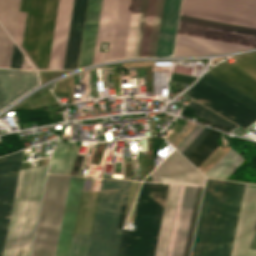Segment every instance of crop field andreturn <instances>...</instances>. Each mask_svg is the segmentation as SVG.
Here are the masks:
<instances>
[{"label":"crop field","mask_w":256,"mask_h":256,"mask_svg":"<svg viewBox=\"0 0 256 256\" xmlns=\"http://www.w3.org/2000/svg\"><path fill=\"white\" fill-rule=\"evenodd\" d=\"M23 153L0 158V256L3 255ZM46 167L20 172L4 256H29Z\"/></svg>","instance_id":"obj_1"},{"label":"crop field","mask_w":256,"mask_h":256,"mask_svg":"<svg viewBox=\"0 0 256 256\" xmlns=\"http://www.w3.org/2000/svg\"><path fill=\"white\" fill-rule=\"evenodd\" d=\"M256 47V29L181 15L175 57L220 54Z\"/></svg>","instance_id":"obj_2"},{"label":"crop field","mask_w":256,"mask_h":256,"mask_svg":"<svg viewBox=\"0 0 256 256\" xmlns=\"http://www.w3.org/2000/svg\"><path fill=\"white\" fill-rule=\"evenodd\" d=\"M130 184L103 179L87 256H116ZM130 233L122 229L117 256H126Z\"/></svg>","instance_id":"obj_3"},{"label":"crop field","mask_w":256,"mask_h":256,"mask_svg":"<svg viewBox=\"0 0 256 256\" xmlns=\"http://www.w3.org/2000/svg\"><path fill=\"white\" fill-rule=\"evenodd\" d=\"M70 177L48 175L32 256H54Z\"/></svg>","instance_id":"obj_4"},{"label":"crop field","mask_w":256,"mask_h":256,"mask_svg":"<svg viewBox=\"0 0 256 256\" xmlns=\"http://www.w3.org/2000/svg\"><path fill=\"white\" fill-rule=\"evenodd\" d=\"M100 5L89 0L79 66L92 63ZM86 6L87 0H74L63 69L77 68Z\"/></svg>","instance_id":"obj_5"},{"label":"crop field","mask_w":256,"mask_h":256,"mask_svg":"<svg viewBox=\"0 0 256 256\" xmlns=\"http://www.w3.org/2000/svg\"><path fill=\"white\" fill-rule=\"evenodd\" d=\"M181 14L256 28V0H183Z\"/></svg>","instance_id":"obj_6"},{"label":"crop field","mask_w":256,"mask_h":256,"mask_svg":"<svg viewBox=\"0 0 256 256\" xmlns=\"http://www.w3.org/2000/svg\"><path fill=\"white\" fill-rule=\"evenodd\" d=\"M169 185L159 184L145 256H155ZM179 185H170L156 256H165Z\"/></svg>","instance_id":"obj_7"},{"label":"crop field","mask_w":256,"mask_h":256,"mask_svg":"<svg viewBox=\"0 0 256 256\" xmlns=\"http://www.w3.org/2000/svg\"><path fill=\"white\" fill-rule=\"evenodd\" d=\"M184 188H185V186L181 185L167 256H171L174 237H175V231H176V226H177V221H178V216H179V211H180L182 197H183V193H184ZM196 189H197V187H191V186H186V188H185L181 216H180L179 223H178V228H177V233H176L172 256H183L184 255L185 244H186V239H187V234H188V229H189V224H190V219H191V214H192V209H193V204H194V199H195V194H196ZM201 190H202V187H198L184 256L189 255V250H190V245H191V240H192V235H193V230H194V225H195V220H196V215H197V210H198V204H199V199H200V195H201Z\"/></svg>","instance_id":"obj_8"},{"label":"crop field","mask_w":256,"mask_h":256,"mask_svg":"<svg viewBox=\"0 0 256 256\" xmlns=\"http://www.w3.org/2000/svg\"><path fill=\"white\" fill-rule=\"evenodd\" d=\"M184 94L213 109L243 128L256 120V113L202 81Z\"/></svg>","instance_id":"obj_9"},{"label":"crop field","mask_w":256,"mask_h":256,"mask_svg":"<svg viewBox=\"0 0 256 256\" xmlns=\"http://www.w3.org/2000/svg\"><path fill=\"white\" fill-rule=\"evenodd\" d=\"M235 61H223L212 67L208 73L256 100V52L232 57Z\"/></svg>","instance_id":"obj_10"},{"label":"crop field","mask_w":256,"mask_h":256,"mask_svg":"<svg viewBox=\"0 0 256 256\" xmlns=\"http://www.w3.org/2000/svg\"><path fill=\"white\" fill-rule=\"evenodd\" d=\"M158 184L143 182L138 198L127 256H143Z\"/></svg>","instance_id":"obj_11"},{"label":"crop field","mask_w":256,"mask_h":256,"mask_svg":"<svg viewBox=\"0 0 256 256\" xmlns=\"http://www.w3.org/2000/svg\"><path fill=\"white\" fill-rule=\"evenodd\" d=\"M164 0H143L134 57L155 56Z\"/></svg>","instance_id":"obj_12"},{"label":"crop field","mask_w":256,"mask_h":256,"mask_svg":"<svg viewBox=\"0 0 256 256\" xmlns=\"http://www.w3.org/2000/svg\"><path fill=\"white\" fill-rule=\"evenodd\" d=\"M233 182L218 180L203 256H218Z\"/></svg>","instance_id":"obj_13"},{"label":"crop field","mask_w":256,"mask_h":256,"mask_svg":"<svg viewBox=\"0 0 256 256\" xmlns=\"http://www.w3.org/2000/svg\"><path fill=\"white\" fill-rule=\"evenodd\" d=\"M156 182L203 185L204 177L176 151H173L155 170Z\"/></svg>","instance_id":"obj_14"},{"label":"crop field","mask_w":256,"mask_h":256,"mask_svg":"<svg viewBox=\"0 0 256 256\" xmlns=\"http://www.w3.org/2000/svg\"><path fill=\"white\" fill-rule=\"evenodd\" d=\"M83 180L77 177L70 179L55 256H69Z\"/></svg>","instance_id":"obj_15"},{"label":"crop field","mask_w":256,"mask_h":256,"mask_svg":"<svg viewBox=\"0 0 256 256\" xmlns=\"http://www.w3.org/2000/svg\"><path fill=\"white\" fill-rule=\"evenodd\" d=\"M72 3L59 0L48 69H62Z\"/></svg>","instance_id":"obj_16"},{"label":"crop field","mask_w":256,"mask_h":256,"mask_svg":"<svg viewBox=\"0 0 256 256\" xmlns=\"http://www.w3.org/2000/svg\"><path fill=\"white\" fill-rule=\"evenodd\" d=\"M35 85V72L0 69V108Z\"/></svg>","instance_id":"obj_17"},{"label":"crop field","mask_w":256,"mask_h":256,"mask_svg":"<svg viewBox=\"0 0 256 256\" xmlns=\"http://www.w3.org/2000/svg\"><path fill=\"white\" fill-rule=\"evenodd\" d=\"M181 0H165L156 56L172 54Z\"/></svg>","instance_id":"obj_18"},{"label":"crop field","mask_w":256,"mask_h":256,"mask_svg":"<svg viewBox=\"0 0 256 256\" xmlns=\"http://www.w3.org/2000/svg\"><path fill=\"white\" fill-rule=\"evenodd\" d=\"M133 0H118L109 60L124 58Z\"/></svg>","instance_id":"obj_19"},{"label":"crop field","mask_w":256,"mask_h":256,"mask_svg":"<svg viewBox=\"0 0 256 256\" xmlns=\"http://www.w3.org/2000/svg\"><path fill=\"white\" fill-rule=\"evenodd\" d=\"M217 180L207 179L191 256H202Z\"/></svg>","instance_id":"obj_20"},{"label":"crop field","mask_w":256,"mask_h":256,"mask_svg":"<svg viewBox=\"0 0 256 256\" xmlns=\"http://www.w3.org/2000/svg\"><path fill=\"white\" fill-rule=\"evenodd\" d=\"M244 184L236 183L233 184L221 249L219 256H230L242 191Z\"/></svg>","instance_id":"obj_21"},{"label":"crop field","mask_w":256,"mask_h":256,"mask_svg":"<svg viewBox=\"0 0 256 256\" xmlns=\"http://www.w3.org/2000/svg\"><path fill=\"white\" fill-rule=\"evenodd\" d=\"M255 185L245 184L231 256H240Z\"/></svg>","instance_id":"obj_22"},{"label":"crop field","mask_w":256,"mask_h":256,"mask_svg":"<svg viewBox=\"0 0 256 256\" xmlns=\"http://www.w3.org/2000/svg\"><path fill=\"white\" fill-rule=\"evenodd\" d=\"M243 161L241 156L229 149L204 175L226 179Z\"/></svg>","instance_id":"obj_23"},{"label":"crop field","mask_w":256,"mask_h":256,"mask_svg":"<svg viewBox=\"0 0 256 256\" xmlns=\"http://www.w3.org/2000/svg\"><path fill=\"white\" fill-rule=\"evenodd\" d=\"M117 0H103L97 40L111 42Z\"/></svg>","instance_id":"obj_24"},{"label":"crop field","mask_w":256,"mask_h":256,"mask_svg":"<svg viewBox=\"0 0 256 256\" xmlns=\"http://www.w3.org/2000/svg\"><path fill=\"white\" fill-rule=\"evenodd\" d=\"M200 80L206 82L207 84L211 85L212 87L218 89L219 91L223 92L224 94L230 96L231 98L237 100L238 102L242 103L243 105L249 107L250 109L256 112V101L251 99L250 97L246 96L245 94L239 92L238 90L232 88L231 86L227 85L226 83L220 81L219 79L215 78L210 74L204 75Z\"/></svg>","instance_id":"obj_25"},{"label":"crop field","mask_w":256,"mask_h":256,"mask_svg":"<svg viewBox=\"0 0 256 256\" xmlns=\"http://www.w3.org/2000/svg\"><path fill=\"white\" fill-rule=\"evenodd\" d=\"M20 0H0V22L15 37Z\"/></svg>","instance_id":"obj_26"},{"label":"crop field","mask_w":256,"mask_h":256,"mask_svg":"<svg viewBox=\"0 0 256 256\" xmlns=\"http://www.w3.org/2000/svg\"><path fill=\"white\" fill-rule=\"evenodd\" d=\"M219 136L220 132L212 130L186 158L197 167L219 146L216 141Z\"/></svg>","instance_id":"obj_27"},{"label":"crop field","mask_w":256,"mask_h":256,"mask_svg":"<svg viewBox=\"0 0 256 256\" xmlns=\"http://www.w3.org/2000/svg\"><path fill=\"white\" fill-rule=\"evenodd\" d=\"M242 256H256V187H255Z\"/></svg>","instance_id":"obj_28"},{"label":"crop field","mask_w":256,"mask_h":256,"mask_svg":"<svg viewBox=\"0 0 256 256\" xmlns=\"http://www.w3.org/2000/svg\"><path fill=\"white\" fill-rule=\"evenodd\" d=\"M189 108L194 110V115L208 120L218 126L226 127L232 130L236 125L193 100L190 102Z\"/></svg>","instance_id":"obj_29"},{"label":"crop field","mask_w":256,"mask_h":256,"mask_svg":"<svg viewBox=\"0 0 256 256\" xmlns=\"http://www.w3.org/2000/svg\"><path fill=\"white\" fill-rule=\"evenodd\" d=\"M142 0H134L125 58L133 57Z\"/></svg>","instance_id":"obj_30"},{"label":"crop field","mask_w":256,"mask_h":256,"mask_svg":"<svg viewBox=\"0 0 256 256\" xmlns=\"http://www.w3.org/2000/svg\"><path fill=\"white\" fill-rule=\"evenodd\" d=\"M14 42L0 25V67L10 68Z\"/></svg>","instance_id":"obj_31"},{"label":"crop field","mask_w":256,"mask_h":256,"mask_svg":"<svg viewBox=\"0 0 256 256\" xmlns=\"http://www.w3.org/2000/svg\"><path fill=\"white\" fill-rule=\"evenodd\" d=\"M70 144L71 143L58 142L55 148V151L52 155V158L50 160L49 170H48L49 173H55V174L60 173L61 167L65 159L61 157V154L62 152L67 153Z\"/></svg>","instance_id":"obj_32"},{"label":"crop field","mask_w":256,"mask_h":256,"mask_svg":"<svg viewBox=\"0 0 256 256\" xmlns=\"http://www.w3.org/2000/svg\"><path fill=\"white\" fill-rule=\"evenodd\" d=\"M74 143L71 144L68 155L66 157L65 163L63 165L62 171L60 174L68 175L71 169L73 160L79 148H73Z\"/></svg>","instance_id":"obj_33"},{"label":"crop field","mask_w":256,"mask_h":256,"mask_svg":"<svg viewBox=\"0 0 256 256\" xmlns=\"http://www.w3.org/2000/svg\"><path fill=\"white\" fill-rule=\"evenodd\" d=\"M210 131L211 129L204 128L181 153L186 157Z\"/></svg>","instance_id":"obj_34"},{"label":"crop field","mask_w":256,"mask_h":256,"mask_svg":"<svg viewBox=\"0 0 256 256\" xmlns=\"http://www.w3.org/2000/svg\"><path fill=\"white\" fill-rule=\"evenodd\" d=\"M203 128L198 125L176 149L181 152Z\"/></svg>","instance_id":"obj_35"},{"label":"crop field","mask_w":256,"mask_h":256,"mask_svg":"<svg viewBox=\"0 0 256 256\" xmlns=\"http://www.w3.org/2000/svg\"><path fill=\"white\" fill-rule=\"evenodd\" d=\"M110 44L111 43H109V46H108L107 60H108V57H109ZM99 46H100V42L96 41V47H95V54H94L93 64L97 63V62L104 61L105 52H99Z\"/></svg>","instance_id":"obj_36"},{"label":"crop field","mask_w":256,"mask_h":256,"mask_svg":"<svg viewBox=\"0 0 256 256\" xmlns=\"http://www.w3.org/2000/svg\"><path fill=\"white\" fill-rule=\"evenodd\" d=\"M83 156L84 155L77 154L76 159H75L74 164H73V167H72L71 172H70L69 175H76L77 174V172H78V170L81 166Z\"/></svg>","instance_id":"obj_37"},{"label":"crop field","mask_w":256,"mask_h":256,"mask_svg":"<svg viewBox=\"0 0 256 256\" xmlns=\"http://www.w3.org/2000/svg\"><path fill=\"white\" fill-rule=\"evenodd\" d=\"M113 75H114L115 95H120L119 76L117 75V69H113Z\"/></svg>","instance_id":"obj_38"},{"label":"crop field","mask_w":256,"mask_h":256,"mask_svg":"<svg viewBox=\"0 0 256 256\" xmlns=\"http://www.w3.org/2000/svg\"><path fill=\"white\" fill-rule=\"evenodd\" d=\"M26 65H27V60H26V58L23 56V54L20 52V53H19V59H18L17 68L26 69Z\"/></svg>","instance_id":"obj_39"},{"label":"crop field","mask_w":256,"mask_h":256,"mask_svg":"<svg viewBox=\"0 0 256 256\" xmlns=\"http://www.w3.org/2000/svg\"><path fill=\"white\" fill-rule=\"evenodd\" d=\"M18 53H19V49H18V47L15 45V46H14V52H13V59H12L11 68H16L17 59H18Z\"/></svg>","instance_id":"obj_40"},{"label":"crop field","mask_w":256,"mask_h":256,"mask_svg":"<svg viewBox=\"0 0 256 256\" xmlns=\"http://www.w3.org/2000/svg\"><path fill=\"white\" fill-rule=\"evenodd\" d=\"M139 168H140V177H141V180H143V178L145 177L143 160L139 161Z\"/></svg>","instance_id":"obj_41"},{"label":"crop field","mask_w":256,"mask_h":256,"mask_svg":"<svg viewBox=\"0 0 256 256\" xmlns=\"http://www.w3.org/2000/svg\"><path fill=\"white\" fill-rule=\"evenodd\" d=\"M125 151H130V149H125ZM130 157H131V155H130Z\"/></svg>","instance_id":"obj_42"}]
</instances>
